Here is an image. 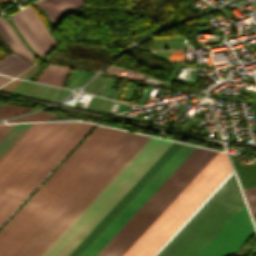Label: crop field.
<instances>
[{
	"mask_svg": "<svg viewBox=\"0 0 256 256\" xmlns=\"http://www.w3.org/2000/svg\"><path fill=\"white\" fill-rule=\"evenodd\" d=\"M92 124H34L0 160V190L24 200ZM0 191V225L22 200Z\"/></svg>",
	"mask_w": 256,
	"mask_h": 256,
	"instance_id": "1",
	"label": "crop field"
},
{
	"mask_svg": "<svg viewBox=\"0 0 256 256\" xmlns=\"http://www.w3.org/2000/svg\"><path fill=\"white\" fill-rule=\"evenodd\" d=\"M124 133L97 126L0 231V256H10Z\"/></svg>",
	"mask_w": 256,
	"mask_h": 256,
	"instance_id": "2",
	"label": "crop field"
},
{
	"mask_svg": "<svg viewBox=\"0 0 256 256\" xmlns=\"http://www.w3.org/2000/svg\"><path fill=\"white\" fill-rule=\"evenodd\" d=\"M149 138L126 132L12 256H40Z\"/></svg>",
	"mask_w": 256,
	"mask_h": 256,
	"instance_id": "3",
	"label": "crop field"
},
{
	"mask_svg": "<svg viewBox=\"0 0 256 256\" xmlns=\"http://www.w3.org/2000/svg\"><path fill=\"white\" fill-rule=\"evenodd\" d=\"M171 143L151 137L41 256H67Z\"/></svg>",
	"mask_w": 256,
	"mask_h": 256,
	"instance_id": "4",
	"label": "crop field"
},
{
	"mask_svg": "<svg viewBox=\"0 0 256 256\" xmlns=\"http://www.w3.org/2000/svg\"><path fill=\"white\" fill-rule=\"evenodd\" d=\"M231 171L218 152L123 256H153Z\"/></svg>",
	"mask_w": 256,
	"mask_h": 256,
	"instance_id": "5",
	"label": "crop field"
},
{
	"mask_svg": "<svg viewBox=\"0 0 256 256\" xmlns=\"http://www.w3.org/2000/svg\"><path fill=\"white\" fill-rule=\"evenodd\" d=\"M216 153L196 147L96 256H122Z\"/></svg>",
	"mask_w": 256,
	"mask_h": 256,
	"instance_id": "6",
	"label": "crop field"
},
{
	"mask_svg": "<svg viewBox=\"0 0 256 256\" xmlns=\"http://www.w3.org/2000/svg\"><path fill=\"white\" fill-rule=\"evenodd\" d=\"M243 205L231 174L156 256H197Z\"/></svg>",
	"mask_w": 256,
	"mask_h": 256,
	"instance_id": "7",
	"label": "crop field"
},
{
	"mask_svg": "<svg viewBox=\"0 0 256 256\" xmlns=\"http://www.w3.org/2000/svg\"><path fill=\"white\" fill-rule=\"evenodd\" d=\"M194 148L182 144L79 256H95Z\"/></svg>",
	"mask_w": 256,
	"mask_h": 256,
	"instance_id": "8",
	"label": "crop field"
},
{
	"mask_svg": "<svg viewBox=\"0 0 256 256\" xmlns=\"http://www.w3.org/2000/svg\"><path fill=\"white\" fill-rule=\"evenodd\" d=\"M254 233L243 206L198 256H227L235 252Z\"/></svg>",
	"mask_w": 256,
	"mask_h": 256,
	"instance_id": "9",
	"label": "crop field"
},
{
	"mask_svg": "<svg viewBox=\"0 0 256 256\" xmlns=\"http://www.w3.org/2000/svg\"><path fill=\"white\" fill-rule=\"evenodd\" d=\"M180 145V143L173 142L68 256H78Z\"/></svg>",
	"mask_w": 256,
	"mask_h": 256,
	"instance_id": "10",
	"label": "crop field"
},
{
	"mask_svg": "<svg viewBox=\"0 0 256 256\" xmlns=\"http://www.w3.org/2000/svg\"><path fill=\"white\" fill-rule=\"evenodd\" d=\"M11 20L36 52L43 56L51 50L23 10L13 15Z\"/></svg>",
	"mask_w": 256,
	"mask_h": 256,
	"instance_id": "11",
	"label": "crop field"
},
{
	"mask_svg": "<svg viewBox=\"0 0 256 256\" xmlns=\"http://www.w3.org/2000/svg\"><path fill=\"white\" fill-rule=\"evenodd\" d=\"M0 34L16 54L33 63V55L26 49L9 24L3 20L2 16L0 17Z\"/></svg>",
	"mask_w": 256,
	"mask_h": 256,
	"instance_id": "12",
	"label": "crop field"
},
{
	"mask_svg": "<svg viewBox=\"0 0 256 256\" xmlns=\"http://www.w3.org/2000/svg\"><path fill=\"white\" fill-rule=\"evenodd\" d=\"M85 3V0H51L40 7L44 8L50 16V21L53 24L63 14L65 8H76Z\"/></svg>",
	"mask_w": 256,
	"mask_h": 256,
	"instance_id": "13",
	"label": "crop field"
},
{
	"mask_svg": "<svg viewBox=\"0 0 256 256\" xmlns=\"http://www.w3.org/2000/svg\"><path fill=\"white\" fill-rule=\"evenodd\" d=\"M30 66L27 61L11 53L0 61V73L15 77Z\"/></svg>",
	"mask_w": 256,
	"mask_h": 256,
	"instance_id": "14",
	"label": "crop field"
},
{
	"mask_svg": "<svg viewBox=\"0 0 256 256\" xmlns=\"http://www.w3.org/2000/svg\"><path fill=\"white\" fill-rule=\"evenodd\" d=\"M230 155V154H229ZM231 159H238L237 156L230 155ZM236 169L242 189L256 188V164L240 167L238 160H232Z\"/></svg>",
	"mask_w": 256,
	"mask_h": 256,
	"instance_id": "15",
	"label": "crop field"
},
{
	"mask_svg": "<svg viewBox=\"0 0 256 256\" xmlns=\"http://www.w3.org/2000/svg\"><path fill=\"white\" fill-rule=\"evenodd\" d=\"M33 124L14 125L0 140V159L25 134Z\"/></svg>",
	"mask_w": 256,
	"mask_h": 256,
	"instance_id": "16",
	"label": "crop field"
},
{
	"mask_svg": "<svg viewBox=\"0 0 256 256\" xmlns=\"http://www.w3.org/2000/svg\"><path fill=\"white\" fill-rule=\"evenodd\" d=\"M69 70V68L50 64L47 66L37 81L61 87Z\"/></svg>",
	"mask_w": 256,
	"mask_h": 256,
	"instance_id": "17",
	"label": "crop field"
},
{
	"mask_svg": "<svg viewBox=\"0 0 256 256\" xmlns=\"http://www.w3.org/2000/svg\"><path fill=\"white\" fill-rule=\"evenodd\" d=\"M23 10L38 29L40 34L43 36L48 45L51 47V49L58 45L48 30L45 28V26L42 24V22L39 20V18L36 16V14L33 12V10L30 8V6Z\"/></svg>",
	"mask_w": 256,
	"mask_h": 256,
	"instance_id": "18",
	"label": "crop field"
},
{
	"mask_svg": "<svg viewBox=\"0 0 256 256\" xmlns=\"http://www.w3.org/2000/svg\"><path fill=\"white\" fill-rule=\"evenodd\" d=\"M30 111L33 110L6 104L0 108V118L18 115Z\"/></svg>",
	"mask_w": 256,
	"mask_h": 256,
	"instance_id": "19",
	"label": "crop field"
},
{
	"mask_svg": "<svg viewBox=\"0 0 256 256\" xmlns=\"http://www.w3.org/2000/svg\"><path fill=\"white\" fill-rule=\"evenodd\" d=\"M254 218H256V189L243 191Z\"/></svg>",
	"mask_w": 256,
	"mask_h": 256,
	"instance_id": "20",
	"label": "crop field"
},
{
	"mask_svg": "<svg viewBox=\"0 0 256 256\" xmlns=\"http://www.w3.org/2000/svg\"><path fill=\"white\" fill-rule=\"evenodd\" d=\"M54 116L53 114H47L44 112H39L37 114L29 115L24 118L15 119V120H9L6 122H15V121H36V120H46L50 117Z\"/></svg>",
	"mask_w": 256,
	"mask_h": 256,
	"instance_id": "21",
	"label": "crop field"
},
{
	"mask_svg": "<svg viewBox=\"0 0 256 256\" xmlns=\"http://www.w3.org/2000/svg\"><path fill=\"white\" fill-rule=\"evenodd\" d=\"M21 82V80L15 79L9 83H7L6 85L2 86L0 88V90H4V91H8L10 92L15 86H17L19 83Z\"/></svg>",
	"mask_w": 256,
	"mask_h": 256,
	"instance_id": "22",
	"label": "crop field"
},
{
	"mask_svg": "<svg viewBox=\"0 0 256 256\" xmlns=\"http://www.w3.org/2000/svg\"><path fill=\"white\" fill-rule=\"evenodd\" d=\"M37 67V65L31 67L30 69H28L27 71H25L24 73H22L21 75H19L18 77L24 78L26 77L28 74H30L35 68Z\"/></svg>",
	"mask_w": 256,
	"mask_h": 256,
	"instance_id": "23",
	"label": "crop field"
},
{
	"mask_svg": "<svg viewBox=\"0 0 256 256\" xmlns=\"http://www.w3.org/2000/svg\"><path fill=\"white\" fill-rule=\"evenodd\" d=\"M12 78H8L5 76H1L0 75V86L3 85L4 83L8 82L9 80H11Z\"/></svg>",
	"mask_w": 256,
	"mask_h": 256,
	"instance_id": "24",
	"label": "crop field"
},
{
	"mask_svg": "<svg viewBox=\"0 0 256 256\" xmlns=\"http://www.w3.org/2000/svg\"><path fill=\"white\" fill-rule=\"evenodd\" d=\"M47 1H49V0H38L35 3L39 6V5H41V4H43V3L47 2Z\"/></svg>",
	"mask_w": 256,
	"mask_h": 256,
	"instance_id": "25",
	"label": "crop field"
},
{
	"mask_svg": "<svg viewBox=\"0 0 256 256\" xmlns=\"http://www.w3.org/2000/svg\"><path fill=\"white\" fill-rule=\"evenodd\" d=\"M4 105L3 103H0V106Z\"/></svg>",
	"mask_w": 256,
	"mask_h": 256,
	"instance_id": "26",
	"label": "crop field"
},
{
	"mask_svg": "<svg viewBox=\"0 0 256 256\" xmlns=\"http://www.w3.org/2000/svg\"><path fill=\"white\" fill-rule=\"evenodd\" d=\"M255 220V223H256V219H254Z\"/></svg>",
	"mask_w": 256,
	"mask_h": 256,
	"instance_id": "27",
	"label": "crop field"
},
{
	"mask_svg": "<svg viewBox=\"0 0 256 256\" xmlns=\"http://www.w3.org/2000/svg\"><path fill=\"white\" fill-rule=\"evenodd\" d=\"M0 123H3V122H0Z\"/></svg>",
	"mask_w": 256,
	"mask_h": 256,
	"instance_id": "28",
	"label": "crop field"
}]
</instances>
